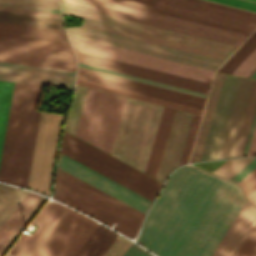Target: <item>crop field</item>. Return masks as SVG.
<instances>
[{
	"mask_svg": "<svg viewBox=\"0 0 256 256\" xmlns=\"http://www.w3.org/2000/svg\"><path fill=\"white\" fill-rule=\"evenodd\" d=\"M245 200L237 185L183 166L169 177L137 242L159 256H210Z\"/></svg>",
	"mask_w": 256,
	"mask_h": 256,
	"instance_id": "crop-field-1",
	"label": "crop field"
},
{
	"mask_svg": "<svg viewBox=\"0 0 256 256\" xmlns=\"http://www.w3.org/2000/svg\"><path fill=\"white\" fill-rule=\"evenodd\" d=\"M59 1L64 3V0ZM65 3L236 46H239L248 36L247 34L107 0H65ZM60 5L63 14L78 16L82 19L83 23L81 27L90 26L223 60H226L237 48L236 46L96 13L61 3Z\"/></svg>",
	"mask_w": 256,
	"mask_h": 256,
	"instance_id": "crop-field-2",
	"label": "crop field"
},
{
	"mask_svg": "<svg viewBox=\"0 0 256 256\" xmlns=\"http://www.w3.org/2000/svg\"><path fill=\"white\" fill-rule=\"evenodd\" d=\"M66 30L74 49L209 83L224 62L90 27Z\"/></svg>",
	"mask_w": 256,
	"mask_h": 256,
	"instance_id": "crop-field-3",
	"label": "crop field"
},
{
	"mask_svg": "<svg viewBox=\"0 0 256 256\" xmlns=\"http://www.w3.org/2000/svg\"><path fill=\"white\" fill-rule=\"evenodd\" d=\"M32 224L30 237L22 234L12 256H74L99 223L56 202L48 203Z\"/></svg>",
	"mask_w": 256,
	"mask_h": 256,
	"instance_id": "crop-field-4",
	"label": "crop field"
},
{
	"mask_svg": "<svg viewBox=\"0 0 256 256\" xmlns=\"http://www.w3.org/2000/svg\"><path fill=\"white\" fill-rule=\"evenodd\" d=\"M42 86L15 83L0 161V181L26 188L40 112Z\"/></svg>",
	"mask_w": 256,
	"mask_h": 256,
	"instance_id": "crop-field-5",
	"label": "crop field"
},
{
	"mask_svg": "<svg viewBox=\"0 0 256 256\" xmlns=\"http://www.w3.org/2000/svg\"><path fill=\"white\" fill-rule=\"evenodd\" d=\"M68 42L61 30L0 22V61L75 71Z\"/></svg>",
	"mask_w": 256,
	"mask_h": 256,
	"instance_id": "crop-field-6",
	"label": "crop field"
},
{
	"mask_svg": "<svg viewBox=\"0 0 256 256\" xmlns=\"http://www.w3.org/2000/svg\"><path fill=\"white\" fill-rule=\"evenodd\" d=\"M53 197L133 238L144 215L57 168ZM113 228V229H114Z\"/></svg>",
	"mask_w": 256,
	"mask_h": 256,
	"instance_id": "crop-field-7",
	"label": "crop field"
},
{
	"mask_svg": "<svg viewBox=\"0 0 256 256\" xmlns=\"http://www.w3.org/2000/svg\"><path fill=\"white\" fill-rule=\"evenodd\" d=\"M162 108L127 98L110 155L145 171Z\"/></svg>",
	"mask_w": 256,
	"mask_h": 256,
	"instance_id": "crop-field-8",
	"label": "crop field"
},
{
	"mask_svg": "<svg viewBox=\"0 0 256 256\" xmlns=\"http://www.w3.org/2000/svg\"><path fill=\"white\" fill-rule=\"evenodd\" d=\"M65 134V131H64ZM63 134V139H64ZM63 139L61 144L63 145ZM62 153L153 201L162 183L66 133Z\"/></svg>",
	"mask_w": 256,
	"mask_h": 256,
	"instance_id": "crop-field-9",
	"label": "crop field"
},
{
	"mask_svg": "<svg viewBox=\"0 0 256 256\" xmlns=\"http://www.w3.org/2000/svg\"><path fill=\"white\" fill-rule=\"evenodd\" d=\"M125 99L89 88L75 136L110 153Z\"/></svg>",
	"mask_w": 256,
	"mask_h": 256,
	"instance_id": "crop-field-10",
	"label": "crop field"
},
{
	"mask_svg": "<svg viewBox=\"0 0 256 256\" xmlns=\"http://www.w3.org/2000/svg\"><path fill=\"white\" fill-rule=\"evenodd\" d=\"M113 1L126 3V4H130V5H134V6H138V7H142V8H146V9H150V10H154V11H158V12H162V13H166V14H170V15H174V16H178V17H182V18H187V19H191V20H195V21H199V22H203V23H207V24H211V25H215V26L243 32V33H247V34H250L251 32H249V31H253L256 28V18L255 17L231 12L228 10L200 4V3L189 1V0H157V1L156 0H113ZM194 1H198V2H202V3H206V4H210V5H214V6H218V7H222V8H226V9H230V10H234V11H238V12L256 16V13L233 8V7H228V6H224V5H220V4H216V3H212V2H208V1H204V0H194ZM151 5L153 7H157V8H161V9H165V10H169V11H173V12H177V13H181V14H185V15H189V16H193V17H197V18H201V19H205V20H209V21H213V22H217V23H221V24H225V25H229V26H233V27H237V28H241V29H245V30H249V31H245V30H241V29H237V28H233V27H229V26H225V25H221V24H217V23H212V22H208V21H204V20H200V19H196V18H192V17L156 9V8H152V7H150Z\"/></svg>",
	"mask_w": 256,
	"mask_h": 256,
	"instance_id": "crop-field-11",
	"label": "crop field"
},
{
	"mask_svg": "<svg viewBox=\"0 0 256 256\" xmlns=\"http://www.w3.org/2000/svg\"><path fill=\"white\" fill-rule=\"evenodd\" d=\"M63 115L41 112L28 189L49 195Z\"/></svg>",
	"mask_w": 256,
	"mask_h": 256,
	"instance_id": "crop-field-12",
	"label": "crop field"
},
{
	"mask_svg": "<svg viewBox=\"0 0 256 256\" xmlns=\"http://www.w3.org/2000/svg\"><path fill=\"white\" fill-rule=\"evenodd\" d=\"M78 73H79V68H78ZM78 73H77V78H78ZM79 79L115 87V88H120L160 99H165L197 108L202 107L203 99L200 97L132 81V80H127L107 74H102L86 69L80 68V74H79ZM206 100V99H205ZM204 100V104H205ZM203 104V108H204ZM202 108V109H203Z\"/></svg>",
	"mask_w": 256,
	"mask_h": 256,
	"instance_id": "crop-field-13",
	"label": "crop field"
},
{
	"mask_svg": "<svg viewBox=\"0 0 256 256\" xmlns=\"http://www.w3.org/2000/svg\"><path fill=\"white\" fill-rule=\"evenodd\" d=\"M77 59L80 62L208 93L209 85L208 83L168 74V73H163L123 62H118L82 52L76 51Z\"/></svg>",
	"mask_w": 256,
	"mask_h": 256,
	"instance_id": "crop-field-14",
	"label": "crop field"
},
{
	"mask_svg": "<svg viewBox=\"0 0 256 256\" xmlns=\"http://www.w3.org/2000/svg\"><path fill=\"white\" fill-rule=\"evenodd\" d=\"M192 115L175 111L156 179L164 182L166 176L177 167Z\"/></svg>",
	"mask_w": 256,
	"mask_h": 256,
	"instance_id": "crop-field-15",
	"label": "crop field"
},
{
	"mask_svg": "<svg viewBox=\"0 0 256 256\" xmlns=\"http://www.w3.org/2000/svg\"><path fill=\"white\" fill-rule=\"evenodd\" d=\"M57 166L143 213L150 205L61 156Z\"/></svg>",
	"mask_w": 256,
	"mask_h": 256,
	"instance_id": "crop-field-16",
	"label": "crop field"
},
{
	"mask_svg": "<svg viewBox=\"0 0 256 256\" xmlns=\"http://www.w3.org/2000/svg\"><path fill=\"white\" fill-rule=\"evenodd\" d=\"M44 201L41 196L28 192L0 228V256L21 231Z\"/></svg>",
	"mask_w": 256,
	"mask_h": 256,
	"instance_id": "crop-field-17",
	"label": "crop field"
},
{
	"mask_svg": "<svg viewBox=\"0 0 256 256\" xmlns=\"http://www.w3.org/2000/svg\"><path fill=\"white\" fill-rule=\"evenodd\" d=\"M250 79L238 77L213 159L226 158Z\"/></svg>",
	"mask_w": 256,
	"mask_h": 256,
	"instance_id": "crop-field-18",
	"label": "crop field"
},
{
	"mask_svg": "<svg viewBox=\"0 0 256 256\" xmlns=\"http://www.w3.org/2000/svg\"><path fill=\"white\" fill-rule=\"evenodd\" d=\"M256 217V207L246 201L211 256H230Z\"/></svg>",
	"mask_w": 256,
	"mask_h": 256,
	"instance_id": "crop-field-19",
	"label": "crop field"
},
{
	"mask_svg": "<svg viewBox=\"0 0 256 256\" xmlns=\"http://www.w3.org/2000/svg\"><path fill=\"white\" fill-rule=\"evenodd\" d=\"M236 78L237 77L234 76H225L201 160H209L213 158Z\"/></svg>",
	"mask_w": 256,
	"mask_h": 256,
	"instance_id": "crop-field-20",
	"label": "crop field"
},
{
	"mask_svg": "<svg viewBox=\"0 0 256 256\" xmlns=\"http://www.w3.org/2000/svg\"><path fill=\"white\" fill-rule=\"evenodd\" d=\"M174 111L175 110L173 109H169L165 107L163 108V112L161 115V119L159 122V126L157 129V133L155 136V140L152 146V150H151L150 157H149L148 164L145 171V173L153 177H156V173L161 160V156L163 153L169 128L172 122Z\"/></svg>",
	"mask_w": 256,
	"mask_h": 256,
	"instance_id": "crop-field-21",
	"label": "crop field"
},
{
	"mask_svg": "<svg viewBox=\"0 0 256 256\" xmlns=\"http://www.w3.org/2000/svg\"><path fill=\"white\" fill-rule=\"evenodd\" d=\"M224 76L225 75L219 74V73H216L215 75L213 87L210 93V97L207 103L205 114L202 120V124L199 130V134L197 137V141H196L190 162H196L200 160V156L203 150V146L206 140V136L209 130V126L212 120V116H213L215 106L218 100V96L221 90V86L224 80Z\"/></svg>",
	"mask_w": 256,
	"mask_h": 256,
	"instance_id": "crop-field-22",
	"label": "crop field"
},
{
	"mask_svg": "<svg viewBox=\"0 0 256 256\" xmlns=\"http://www.w3.org/2000/svg\"><path fill=\"white\" fill-rule=\"evenodd\" d=\"M116 236V233L99 225L75 256H102Z\"/></svg>",
	"mask_w": 256,
	"mask_h": 256,
	"instance_id": "crop-field-23",
	"label": "crop field"
},
{
	"mask_svg": "<svg viewBox=\"0 0 256 256\" xmlns=\"http://www.w3.org/2000/svg\"><path fill=\"white\" fill-rule=\"evenodd\" d=\"M0 21L64 30L61 19H57V18H49V17H41V16H33V15H25V14H17V13L0 11Z\"/></svg>",
	"mask_w": 256,
	"mask_h": 256,
	"instance_id": "crop-field-24",
	"label": "crop field"
},
{
	"mask_svg": "<svg viewBox=\"0 0 256 256\" xmlns=\"http://www.w3.org/2000/svg\"><path fill=\"white\" fill-rule=\"evenodd\" d=\"M0 79L68 87V88L74 87V80H71V79L55 78V77L32 75V74L17 73V72L2 71V70H0Z\"/></svg>",
	"mask_w": 256,
	"mask_h": 256,
	"instance_id": "crop-field-25",
	"label": "crop field"
},
{
	"mask_svg": "<svg viewBox=\"0 0 256 256\" xmlns=\"http://www.w3.org/2000/svg\"><path fill=\"white\" fill-rule=\"evenodd\" d=\"M26 193L27 191L0 184V226Z\"/></svg>",
	"mask_w": 256,
	"mask_h": 256,
	"instance_id": "crop-field-26",
	"label": "crop field"
},
{
	"mask_svg": "<svg viewBox=\"0 0 256 256\" xmlns=\"http://www.w3.org/2000/svg\"><path fill=\"white\" fill-rule=\"evenodd\" d=\"M76 84L103 90V91H107V92H111V93H115V94H119V95H123V96H127V97H131V98H135V99H139V100H143V101H147V102H151V103H155V104H159V105H163V106H167V107H171V108H175V109H179V110H183V111H187V112H191V113H195V114H199V115H201V113L203 111V110H199V109H195V108H191V107H187V106H183V105H179V104H175V103H171V102H167V101H163V100H158V99H154V98H150V97H146V96H142V95H138V94L122 91V90H117V89L81 81L78 79L76 81Z\"/></svg>",
	"mask_w": 256,
	"mask_h": 256,
	"instance_id": "crop-field-27",
	"label": "crop field"
},
{
	"mask_svg": "<svg viewBox=\"0 0 256 256\" xmlns=\"http://www.w3.org/2000/svg\"><path fill=\"white\" fill-rule=\"evenodd\" d=\"M256 104V80L254 81L253 88L249 97V101L245 110V114L241 123V127L237 136V140L233 149L231 157H236L241 155V151L244 145L246 134L249 128L253 110Z\"/></svg>",
	"mask_w": 256,
	"mask_h": 256,
	"instance_id": "crop-field-28",
	"label": "crop field"
},
{
	"mask_svg": "<svg viewBox=\"0 0 256 256\" xmlns=\"http://www.w3.org/2000/svg\"><path fill=\"white\" fill-rule=\"evenodd\" d=\"M87 89L88 88L85 87H75L74 95L64 127L65 130L69 131L72 134H75Z\"/></svg>",
	"mask_w": 256,
	"mask_h": 256,
	"instance_id": "crop-field-29",
	"label": "crop field"
},
{
	"mask_svg": "<svg viewBox=\"0 0 256 256\" xmlns=\"http://www.w3.org/2000/svg\"><path fill=\"white\" fill-rule=\"evenodd\" d=\"M14 83L0 81V155Z\"/></svg>",
	"mask_w": 256,
	"mask_h": 256,
	"instance_id": "crop-field-30",
	"label": "crop field"
},
{
	"mask_svg": "<svg viewBox=\"0 0 256 256\" xmlns=\"http://www.w3.org/2000/svg\"><path fill=\"white\" fill-rule=\"evenodd\" d=\"M0 69L74 79L75 72L0 62Z\"/></svg>",
	"mask_w": 256,
	"mask_h": 256,
	"instance_id": "crop-field-31",
	"label": "crop field"
},
{
	"mask_svg": "<svg viewBox=\"0 0 256 256\" xmlns=\"http://www.w3.org/2000/svg\"><path fill=\"white\" fill-rule=\"evenodd\" d=\"M256 47V31L245 41V43L227 60L218 70L231 74V72L250 54Z\"/></svg>",
	"mask_w": 256,
	"mask_h": 256,
	"instance_id": "crop-field-32",
	"label": "crop field"
},
{
	"mask_svg": "<svg viewBox=\"0 0 256 256\" xmlns=\"http://www.w3.org/2000/svg\"><path fill=\"white\" fill-rule=\"evenodd\" d=\"M0 10L61 18L60 11L56 9H48V8H40V7L0 2Z\"/></svg>",
	"mask_w": 256,
	"mask_h": 256,
	"instance_id": "crop-field-33",
	"label": "crop field"
},
{
	"mask_svg": "<svg viewBox=\"0 0 256 256\" xmlns=\"http://www.w3.org/2000/svg\"><path fill=\"white\" fill-rule=\"evenodd\" d=\"M252 158L253 157L226 160L215 169L213 173L228 179Z\"/></svg>",
	"mask_w": 256,
	"mask_h": 256,
	"instance_id": "crop-field-34",
	"label": "crop field"
},
{
	"mask_svg": "<svg viewBox=\"0 0 256 256\" xmlns=\"http://www.w3.org/2000/svg\"><path fill=\"white\" fill-rule=\"evenodd\" d=\"M78 66L96 70V71H100V72H104V73H108V74H112V75H116V76H120V77H124V78H128V79H132V80H136V81H140V82H144V83H148V84H152V85H157V86H161V87H165V88H169V89H173V90H177V91H182V92L202 96L205 98L207 96L205 94H201V93H197V92H193V91H189V90H185V89H181V88H177V87H173V86H169V85H165V84H161V83H157V82H153V81H149V80H145V79H141V78H137V77H133V76H129V75H125V74H121V73H117V72H113V71H109V70H105V69H101V68H97V67H93V66H89V65H85V64H81V63H78Z\"/></svg>",
	"mask_w": 256,
	"mask_h": 256,
	"instance_id": "crop-field-35",
	"label": "crop field"
},
{
	"mask_svg": "<svg viewBox=\"0 0 256 256\" xmlns=\"http://www.w3.org/2000/svg\"><path fill=\"white\" fill-rule=\"evenodd\" d=\"M200 118H201V116H199V115H195V114L193 115L192 122H191V125L189 128V132H188V135L186 138V142H185V145L183 148V152H182V155L180 158L179 165L184 164L188 161L189 154H190L192 144H193V141H194V138L196 135V131H197V128L199 125Z\"/></svg>",
	"mask_w": 256,
	"mask_h": 256,
	"instance_id": "crop-field-36",
	"label": "crop field"
},
{
	"mask_svg": "<svg viewBox=\"0 0 256 256\" xmlns=\"http://www.w3.org/2000/svg\"><path fill=\"white\" fill-rule=\"evenodd\" d=\"M236 256H256V225Z\"/></svg>",
	"mask_w": 256,
	"mask_h": 256,
	"instance_id": "crop-field-37",
	"label": "crop field"
},
{
	"mask_svg": "<svg viewBox=\"0 0 256 256\" xmlns=\"http://www.w3.org/2000/svg\"><path fill=\"white\" fill-rule=\"evenodd\" d=\"M251 53V52H250ZM256 66V48L252 53L238 66V68L232 73L234 75L246 76Z\"/></svg>",
	"mask_w": 256,
	"mask_h": 256,
	"instance_id": "crop-field-38",
	"label": "crop field"
},
{
	"mask_svg": "<svg viewBox=\"0 0 256 256\" xmlns=\"http://www.w3.org/2000/svg\"><path fill=\"white\" fill-rule=\"evenodd\" d=\"M131 243L119 236L103 256H122Z\"/></svg>",
	"mask_w": 256,
	"mask_h": 256,
	"instance_id": "crop-field-39",
	"label": "crop field"
},
{
	"mask_svg": "<svg viewBox=\"0 0 256 256\" xmlns=\"http://www.w3.org/2000/svg\"><path fill=\"white\" fill-rule=\"evenodd\" d=\"M0 1L59 9L57 1H54V0H0Z\"/></svg>",
	"mask_w": 256,
	"mask_h": 256,
	"instance_id": "crop-field-40",
	"label": "crop field"
},
{
	"mask_svg": "<svg viewBox=\"0 0 256 256\" xmlns=\"http://www.w3.org/2000/svg\"><path fill=\"white\" fill-rule=\"evenodd\" d=\"M238 184L241 186L244 194L247 196L256 189V169L243 178Z\"/></svg>",
	"mask_w": 256,
	"mask_h": 256,
	"instance_id": "crop-field-41",
	"label": "crop field"
},
{
	"mask_svg": "<svg viewBox=\"0 0 256 256\" xmlns=\"http://www.w3.org/2000/svg\"><path fill=\"white\" fill-rule=\"evenodd\" d=\"M254 168H256V157H254L239 171H237L232 177L229 178V180L237 183L243 177H245L248 173H250Z\"/></svg>",
	"mask_w": 256,
	"mask_h": 256,
	"instance_id": "crop-field-42",
	"label": "crop field"
},
{
	"mask_svg": "<svg viewBox=\"0 0 256 256\" xmlns=\"http://www.w3.org/2000/svg\"><path fill=\"white\" fill-rule=\"evenodd\" d=\"M212 1H216V2H220V3L256 11L255 3H251V2H247V1H243V0H212Z\"/></svg>",
	"mask_w": 256,
	"mask_h": 256,
	"instance_id": "crop-field-43",
	"label": "crop field"
},
{
	"mask_svg": "<svg viewBox=\"0 0 256 256\" xmlns=\"http://www.w3.org/2000/svg\"><path fill=\"white\" fill-rule=\"evenodd\" d=\"M59 155H61V156L65 157V158H67V159H69V160H71V161L75 162L76 164H78V165H80V166H82V167L86 168L87 170H89V171H91V172H93V173H95V174L99 175L100 177H102V178H104V179H106V180L110 181L111 183H113V184H115V185H117V186H119V187L123 188L124 190H126V191H128V192H130V193L134 194L135 196H137V197H139V198H141V199H143V200H145V201H147L148 203H150V204H151V202H152V201H150V200H148V199H146V198H144V197L140 196L139 194H137V193H135V192H133V191H131V190L127 189L126 187H124V186H122V185H120V184H118V183L114 182L113 180H111V179H109V178H107V177H105V176H103V175L99 174L98 172H96V171H94V170H92V169H90V168L86 167L85 165H83V164H81V163H79V162H77V161L73 160L72 158H70V157H68V156H66V155H64V154H62V153H59Z\"/></svg>",
	"mask_w": 256,
	"mask_h": 256,
	"instance_id": "crop-field-44",
	"label": "crop field"
},
{
	"mask_svg": "<svg viewBox=\"0 0 256 256\" xmlns=\"http://www.w3.org/2000/svg\"><path fill=\"white\" fill-rule=\"evenodd\" d=\"M255 125H256V107H255V110H254V114H253V117H252V121H251V124H250V128H249V131H248V134H247V138H246L245 145H244L241 156H246L247 155V151H248V148H249V145H250V141H251V138H252V135H253Z\"/></svg>",
	"mask_w": 256,
	"mask_h": 256,
	"instance_id": "crop-field-45",
	"label": "crop field"
},
{
	"mask_svg": "<svg viewBox=\"0 0 256 256\" xmlns=\"http://www.w3.org/2000/svg\"><path fill=\"white\" fill-rule=\"evenodd\" d=\"M252 82H253V80L251 79L227 158H229L231 156V152H232V149H233V146H234V142H235V139H236V136H237V132H238V129H239V126H240V122H241L243 112H244V109H245V106H246V102H247V99H248V96H249V92H250V89H251V86H252Z\"/></svg>",
	"mask_w": 256,
	"mask_h": 256,
	"instance_id": "crop-field-46",
	"label": "crop field"
},
{
	"mask_svg": "<svg viewBox=\"0 0 256 256\" xmlns=\"http://www.w3.org/2000/svg\"><path fill=\"white\" fill-rule=\"evenodd\" d=\"M123 256H152V255L132 243Z\"/></svg>",
	"mask_w": 256,
	"mask_h": 256,
	"instance_id": "crop-field-47",
	"label": "crop field"
},
{
	"mask_svg": "<svg viewBox=\"0 0 256 256\" xmlns=\"http://www.w3.org/2000/svg\"><path fill=\"white\" fill-rule=\"evenodd\" d=\"M250 155H256V128H255V131H254V135H253V138H252L251 145H250L247 156H250Z\"/></svg>",
	"mask_w": 256,
	"mask_h": 256,
	"instance_id": "crop-field-48",
	"label": "crop field"
},
{
	"mask_svg": "<svg viewBox=\"0 0 256 256\" xmlns=\"http://www.w3.org/2000/svg\"><path fill=\"white\" fill-rule=\"evenodd\" d=\"M255 224H256V219L253 222V224L251 225V227L249 228V230L247 231V233L245 234V236L243 237L242 241L240 242V244L238 245V247L236 248V250L234 251L232 256H235V254L237 253V251L239 250V248L241 247V245L243 244V242L245 241V239L247 238V236L249 235L250 231L252 230V228L254 227Z\"/></svg>",
	"mask_w": 256,
	"mask_h": 256,
	"instance_id": "crop-field-49",
	"label": "crop field"
},
{
	"mask_svg": "<svg viewBox=\"0 0 256 256\" xmlns=\"http://www.w3.org/2000/svg\"><path fill=\"white\" fill-rule=\"evenodd\" d=\"M247 198L253 203L256 201V190L253 191L250 195L247 196Z\"/></svg>",
	"mask_w": 256,
	"mask_h": 256,
	"instance_id": "crop-field-50",
	"label": "crop field"
},
{
	"mask_svg": "<svg viewBox=\"0 0 256 256\" xmlns=\"http://www.w3.org/2000/svg\"><path fill=\"white\" fill-rule=\"evenodd\" d=\"M255 71H256V67L247 76L250 77Z\"/></svg>",
	"mask_w": 256,
	"mask_h": 256,
	"instance_id": "crop-field-51",
	"label": "crop field"
},
{
	"mask_svg": "<svg viewBox=\"0 0 256 256\" xmlns=\"http://www.w3.org/2000/svg\"><path fill=\"white\" fill-rule=\"evenodd\" d=\"M251 77L252 78H256V72Z\"/></svg>",
	"mask_w": 256,
	"mask_h": 256,
	"instance_id": "crop-field-52",
	"label": "crop field"
},
{
	"mask_svg": "<svg viewBox=\"0 0 256 256\" xmlns=\"http://www.w3.org/2000/svg\"><path fill=\"white\" fill-rule=\"evenodd\" d=\"M248 1L256 2V0H248Z\"/></svg>",
	"mask_w": 256,
	"mask_h": 256,
	"instance_id": "crop-field-53",
	"label": "crop field"
},
{
	"mask_svg": "<svg viewBox=\"0 0 256 256\" xmlns=\"http://www.w3.org/2000/svg\"><path fill=\"white\" fill-rule=\"evenodd\" d=\"M6 256H10V255L7 254Z\"/></svg>",
	"mask_w": 256,
	"mask_h": 256,
	"instance_id": "crop-field-54",
	"label": "crop field"
},
{
	"mask_svg": "<svg viewBox=\"0 0 256 256\" xmlns=\"http://www.w3.org/2000/svg\"><path fill=\"white\" fill-rule=\"evenodd\" d=\"M254 204H256V202Z\"/></svg>",
	"mask_w": 256,
	"mask_h": 256,
	"instance_id": "crop-field-55",
	"label": "crop field"
}]
</instances>
